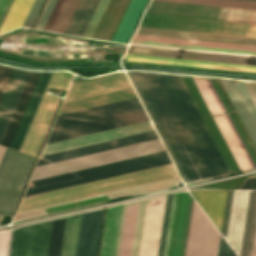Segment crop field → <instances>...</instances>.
Returning a JSON list of instances; mask_svg holds the SVG:
<instances>
[{
	"label": "crop field",
	"mask_w": 256,
	"mask_h": 256,
	"mask_svg": "<svg viewBox=\"0 0 256 256\" xmlns=\"http://www.w3.org/2000/svg\"><path fill=\"white\" fill-rule=\"evenodd\" d=\"M167 1L256 9V2L236 1V0H167Z\"/></svg>",
	"instance_id": "30"
},
{
	"label": "crop field",
	"mask_w": 256,
	"mask_h": 256,
	"mask_svg": "<svg viewBox=\"0 0 256 256\" xmlns=\"http://www.w3.org/2000/svg\"><path fill=\"white\" fill-rule=\"evenodd\" d=\"M79 0H48L35 28L63 33Z\"/></svg>",
	"instance_id": "18"
},
{
	"label": "crop field",
	"mask_w": 256,
	"mask_h": 256,
	"mask_svg": "<svg viewBox=\"0 0 256 256\" xmlns=\"http://www.w3.org/2000/svg\"><path fill=\"white\" fill-rule=\"evenodd\" d=\"M35 159L6 149L0 163V212L12 214Z\"/></svg>",
	"instance_id": "8"
},
{
	"label": "crop field",
	"mask_w": 256,
	"mask_h": 256,
	"mask_svg": "<svg viewBox=\"0 0 256 256\" xmlns=\"http://www.w3.org/2000/svg\"><path fill=\"white\" fill-rule=\"evenodd\" d=\"M146 202H147V199L129 203V204L139 203V207H138V204H136V205L127 206V209H126V205H129V204H124L121 225H120V231H119L118 244H117V250H116V256H118V253H119L125 209H126V215H125L124 228H123L119 256H130L137 207H138V213H137V219H136V225H135V231H134V237H133L131 256H138L142 227H143V220H144V214H145V208H146Z\"/></svg>",
	"instance_id": "15"
},
{
	"label": "crop field",
	"mask_w": 256,
	"mask_h": 256,
	"mask_svg": "<svg viewBox=\"0 0 256 256\" xmlns=\"http://www.w3.org/2000/svg\"><path fill=\"white\" fill-rule=\"evenodd\" d=\"M256 217V191L228 190L221 233L239 256H249Z\"/></svg>",
	"instance_id": "6"
},
{
	"label": "crop field",
	"mask_w": 256,
	"mask_h": 256,
	"mask_svg": "<svg viewBox=\"0 0 256 256\" xmlns=\"http://www.w3.org/2000/svg\"><path fill=\"white\" fill-rule=\"evenodd\" d=\"M127 53L256 65V56L201 52V51L136 46V45H130ZM136 54H125V58L127 61H132V62H153V63H164V64H175V65L198 66V67H209V68L256 72V66L167 58V57H156V56H146V55H136Z\"/></svg>",
	"instance_id": "3"
},
{
	"label": "crop field",
	"mask_w": 256,
	"mask_h": 256,
	"mask_svg": "<svg viewBox=\"0 0 256 256\" xmlns=\"http://www.w3.org/2000/svg\"><path fill=\"white\" fill-rule=\"evenodd\" d=\"M182 196L183 193H175L173 197L164 256H173ZM191 202L192 198L190 197V195L184 192L174 256H183L184 254Z\"/></svg>",
	"instance_id": "13"
},
{
	"label": "crop field",
	"mask_w": 256,
	"mask_h": 256,
	"mask_svg": "<svg viewBox=\"0 0 256 256\" xmlns=\"http://www.w3.org/2000/svg\"><path fill=\"white\" fill-rule=\"evenodd\" d=\"M65 220L66 217L53 220L48 256H60Z\"/></svg>",
	"instance_id": "28"
},
{
	"label": "crop field",
	"mask_w": 256,
	"mask_h": 256,
	"mask_svg": "<svg viewBox=\"0 0 256 256\" xmlns=\"http://www.w3.org/2000/svg\"><path fill=\"white\" fill-rule=\"evenodd\" d=\"M40 73L41 72H36V71L30 72L28 79L26 81V84L21 93V96L16 105V108L8 124V127L5 131L3 139L0 143L1 145H5L8 147L10 146Z\"/></svg>",
	"instance_id": "23"
},
{
	"label": "crop field",
	"mask_w": 256,
	"mask_h": 256,
	"mask_svg": "<svg viewBox=\"0 0 256 256\" xmlns=\"http://www.w3.org/2000/svg\"><path fill=\"white\" fill-rule=\"evenodd\" d=\"M3 216H4L3 214H0V223H1Z\"/></svg>",
	"instance_id": "41"
},
{
	"label": "crop field",
	"mask_w": 256,
	"mask_h": 256,
	"mask_svg": "<svg viewBox=\"0 0 256 256\" xmlns=\"http://www.w3.org/2000/svg\"><path fill=\"white\" fill-rule=\"evenodd\" d=\"M252 84H253V86H254V88L256 90V82H252Z\"/></svg>",
	"instance_id": "40"
},
{
	"label": "crop field",
	"mask_w": 256,
	"mask_h": 256,
	"mask_svg": "<svg viewBox=\"0 0 256 256\" xmlns=\"http://www.w3.org/2000/svg\"><path fill=\"white\" fill-rule=\"evenodd\" d=\"M136 73H137V75H138V77H139V79H140L142 85L144 86V88H145V90H146V92H147V94H148V96H149L151 102L153 103V105H154V107H155V109H156V111H157L159 117L161 118V120H162V122H163V124H164V126H165V128H166V130H167V132H168V134L170 135V137H171V139H172V141H173V143H174L176 149L178 150V152H179V154H180V156H181V158H182V160H183L185 166L187 167V169H188V171H189V173H190V175H191L193 181H197L196 178H195V176H194V174H193V172H192V170H191V168H190V166H189V164H188V162H187V160L185 159V157H184V155H183V153H182V151H181V149H180V147H179V145H178V143H177L175 137L173 136V134H172V132H171V130H170V128H169V126H168V124H167L165 118H164V116L162 115V113H161V111H160V109H159V107H158V105H157V103H156V101H155V99H154L152 93L150 92V90H149V88H148V86H147V84H146V82H145V80H144V78H143L141 72H137V71H136Z\"/></svg>",
	"instance_id": "29"
},
{
	"label": "crop field",
	"mask_w": 256,
	"mask_h": 256,
	"mask_svg": "<svg viewBox=\"0 0 256 256\" xmlns=\"http://www.w3.org/2000/svg\"><path fill=\"white\" fill-rule=\"evenodd\" d=\"M247 1H256V0H247Z\"/></svg>",
	"instance_id": "42"
},
{
	"label": "crop field",
	"mask_w": 256,
	"mask_h": 256,
	"mask_svg": "<svg viewBox=\"0 0 256 256\" xmlns=\"http://www.w3.org/2000/svg\"><path fill=\"white\" fill-rule=\"evenodd\" d=\"M103 201H104L103 197H100V198L82 201V202H78V203L68 204V205L59 206V207H55V208H50V209H46L44 211L46 214H48V213H52V212L62 211V210H66V209L80 207V206H84V205H88V204L99 203V202H103Z\"/></svg>",
	"instance_id": "34"
},
{
	"label": "crop field",
	"mask_w": 256,
	"mask_h": 256,
	"mask_svg": "<svg viewBox=\"0 0 256 256\" xmlns=\"http://www.w3.org/2000/svg\"><path fill=\"white\" fill-rule=\"evenodd\" d=\"M165 150L160 139L55 162L35 168L32 180Z\"/></svg>",
	"instance_id": "7"
},
{
	"label": "crop field",
	"mask_w": 256,
	"mask_h": 256,
	"mask_svg": "<svg viewBox=\"0 0 256 256\" xmlns=\"http://www.w3.org/2000/svg\"><path fill=\"white\" fill-rule=\"evenodd\" d=\"M13 231L0 232V256H9Z\"/></svg>",
	"instance_id": "33"
},
{
	"label": "crop field",
	"mask_w": 256,
	"mask_h": 256,
	"mask_svg": "<svg viewBox=\"0 0 256 256\" xmlns=\"http://www.w3.org/2000/svg\"><path fill=\"white\" fill-rule=\"evenodd\" d=\"M182 115L194 135L214 176L229 173L230 170L210 134L201 114L189 94L181 76L162 74Z\"/></svg>",
	"instance_id": "5"
},
{
	"label": "crop field",
	"mask_w": 256,
	"mask_h": 256,
	"mask_svg": "<svg viewBox=\"0 0 256 256\" xmlns=\"http://www.w3.org/2000/svg\"><path fill=\"white\" fill-rule=\"evenodd\" d=\"M250 256H256V223H255V229H254V235H253V241H252Z\"/></svg>",
	"instance_id": "38"
},
{
	"label": "crop field",
	"mask_w": 256,
	"mask_h": 256,
	"mask_svg": "<svg viewBox=\"0 0 256 256\" xmlns=\"http://www.w3.org/2000/svg\"><path fill=\"white\" fill-rule=\"evenodd\" d=\"M147 0H131L111 41L126 43Z\"/></svg>",
	"instance_id": "26"
},
{
	"label": "crop field",
	"mask_w": 256,
	"mask_h": 256,
	"mask_svg": "<svg viewBox=\"0 0 256 256\" xmlns=\"http://www.w3.org/2000/svg\"><path fill=\"white\" fill-rule=\"evenodd\" d=\"M227 190H195L194 197L216 225L221 229Z\"/></svg>",
	"instance_id": "22"
},
{
	"label": "crop field",
	"mask_w": 256,
	"mask_h": 256,
	"mask_svg": "<svg viewBox=\"0 0 256 256\" xmlns=\"http://www.w3.org/2000/svg\"><path fill=\"white\" fill-rule=\"evenodd\" d=\"M218 256H236L232 249L228 246L225 240L220 238Z\"/></svg>",
	"instance_id": "35"
},
{
	"label": "crop field",
	"mask_w": 256,
	"mask_h": 256,
	"mask_svg": "<svg viewBox=\"0 0 256 256\" xmlns=\"http://www.w3.org/2000/svg\"><path fill=\"white\" fill-rule=\"evenodd\" d=\"M252 101L254 102L255 106H256V92L251 84V82H246V81H243Z\"/></svg>",
	"instance_id": "37"
},
{
	"label": "crop field",
	"mask_w": 256,
	"mask_h": 256,
	"mask_svg": "<svg viewBox=\"0 0 256 256\" xmlns=\"http://www.w3.org/2000/svg\"><path fill=\"white\" fill-rule=\"evenodd\" d=\"M5 149H6L5 147L0 146V160L3 156V153H4Z\"/></svg>",
	"instance_id": "39"
},
{
	"label": "crop field",
	"mask_w": 256,
	"mask_h": 256,
	"mask_svg": "<svg viewBox=\"0 0 256 256\" xmlns=\"http://www.w3.org/2000/svg\"><path fill=\"white\" fill-rule=\"evenodd\" d=\"M170 163L171 161L166 151H163L98 167L40 179L36 180V187L29 188L31 182L29 183V190L27 189L24 197Z\"/></svg>",
	"instance_id": "2"
},
{
	"label": "crop field",
	"mask_w": 256,
	"mask_h": 256,
	"mask_svg": "<svg viewBox=\"0 0 256 256\" xmlns=\"http://www.w3.org/2000/svg\"><path fill=\"white\" fill-rule=\"evenodd\" d=\"M172 196L173 194L167 195V198L166 195H164L148 199L139 256H157L164 204L166 198L164 218L158 251V256H163Z\"/></svg>",
	"instance_id": "10"
},
{
	"label": "crop field",
	"mask_w": 256,
	"mask_h": 256,
	"mask_svg": "<svg viewBox=\"0 0 256 256\" xmlns=\"http://www.w3.org/2000/svg\"><path fill=\"white\" fill-rule=\"evenodd\" d=\"M221 80L256 146V108L242 81L223 78Z\"/></svg>",
	"instance_id": "17"
},
{
	"label": "crop field",
	"mask_w": 256,
	"mask_h": 256,
	"mask_svg": "<svg viewBox=\"0 0 256 256\" xmlns=\"http://www.w3.org/2000/svg\"><path fill=\"white\" fill-rule=\"evenodd\" d=\"M102 212L83 214L76 256H96Z\"/></svg>",
	"instance_id": "19"
},
{
	"label": "crop field",
	"mask_w": 256,
	"mask_h": 256,
	"mask_svg": "<svg viewBox=\"0 0 256 256\" xmlns=\"http://www.w3.org/2000/svg\"><path fill=\"white\" fill-rule=\"evenodd\" d=\"M136 34L256 45V39L138 28ZM134 35L131 43L256 55V46Z\"/></svg>",
	"instance_id": "4"
},
{
	"label": "crop field",
	"mask_w": 256,
	"mask_h": 256,
	"mask_svg": "<svg viewBox=\"0 0 256 256\" xmlns=\"http://www.w3.org/2000/svg\"><path fill=\"white\" fill-rule=\"evenodd\" d=\"M52 220L15 229L10 256H47Z\"/></svg>",
	"instance_id": "12"
},
{
	"label": "crop field",
	"mask_w": 256,
	"mask_h": 256,
	"mask_svg": "<svg viewBox=\"0 0 256 256\" xmlns=\"http://www.w3.org/2000/svg\"><path fill=\"white\" fill-rule=\"evenodd\" d=\"M122 206L107 208L100 256H115Z\"/></svg>",
	"instance_id": "25"
},
{
	"label": "crop field",
	"mask_w": 256,
	"mask_h": 256,
	"mask_svg": "<svg viewBox=\"0 0 256 256\" xmlns=\"http://www.w3.org/2000/svg\"><path fill=\"white\" fill-rule=\"evenodd\" d=\"M45 0H35L23 25L31 28Z\"/></svg>",
	"instance_id": "32"
},
{
	"label": "crop field",
	"mask_w": 256,
	"mask_h": 256,
	"mask_svg": "<svg viewBox=\"0 0 256 256\" xmlns=\"http://www.w3.org/2000/svg\"><path fill=\"white\" fill-rule=\"evenodd\" d=\"M12 67L0 66V97L8 81ZM30 71L14 68L0 100V141L12 115Z\"/></svg>",
	"instance_id": "14"
},
{
	"label": "crop field",
	"mask_w": 256,
	"mask_h": 256,
	"mask_svg": "<svg viewBox=\"0 0 256 256\" xmlns=\"http://www.w3.org/2000/svg\"><path fill=\"white\" fill-rule=\"evenodd\" d=\"M129 74H130V76H131V78H132V80H133V82H134V84H135L139 94L141 95V97H142V99H143V101H144V103H145V105H146L150 115L152 116V118H153V120H154V122H155V124H156V126H157V128H158V130H159V132H160V134L162 136V138L164 139V141H165V143H166V145H167V147H168V149H169L173 159L175 160V162H176V164H177V166H178V168H179V170H180V172H181L185 182H193L191 177H190V175H189V173H188V171H187V169H186V167L184 166V164H183V162H182V160H181L177 150L175 149V147H174V145H173L169 135L167 134V132H166V130H165V128H164L160 118L158 117V115H157V113H156L152 103L150 102V100H149V98H148V96H147L143 86L141 85V83H140V81H139L135 71H130Z\"/></svg>",
	"instance_id": "21"
},
{
	"label": "crop field",
	"mask_w": 256,
	"mask_h": 256,
	"mask_svg": "<svg viewBox=\"0 0 256 256\" xmlns=\"http://www.w3.org/2000/svg\"><path fill=\"white\" fill-rule=\"evenodd\" d=\"M14 0H0V27L12 5ZM34 0H15L1 29H0V34L4 33V32H7V31H10L12 29H15V28H18L22 25L32 3H33Z\"/></svg>",
	"instance_id": "24"
},
{
	"label": "crop field",
	"mask_w": 256,
	"mask_h": 256,
	"mask_svg": "<svg viewBox=\"0 0 256 256\" xmlns=\"http://www.w3.org/2000/svg\"><path fill=\"white\" fill-rule=\"evenodd\" d=\"M239 189H256V176L247 178Z\"/></svg>",
	"instance_id": "36"
},
{
	"label": "crop field",
	"mask_w": 256,
	"mask_h": 256,
	"mask_svg": "<svg viewBox=\"0 0 256 256\" xmlns=\"http://www.w3.org/2000/svg\"><path fill=\"white\" fill-rule=\"evenodd\" d=\"M157 75H158V77H159V79H160V81H161V83H162V85H163V87H164L166 93L168 94V96H169V98H170V100H171V102H172V104H173V106H174V108H175L177 114L179 115V117H180V119H181V121H182V123H183V125H184V127H185V129H186V131H187V133H188V135L190 136V138H191V140H192V142H193V144H194V146H195V148H196V150H197L199 156L201 157V159H202V161H203V163H204V165H205V167H206V169H207V171H208L210 177H213V174H212V172H211V170H210V168H209V166H208V164H207V162H206L204 156L202 155V153H201V151H200V149H199V147H198V145H197V143H196V141H195L193 135L191 134V132H190V130H189V128H188V126H187V124H186V122H185L183 116L181 115V113H180V111H179V109H178V107H177V105H176V103H175V101H174L172 95L170 94V92H169V90H168V88H167V86H166V84H165V82H164V80H163L161 74H158V73H157Z\"/></svg>",
	"instance_id": "31"
},
{
	"label": "crop field",
	"mask_w": 256,
	"mask_h": 256,
	"mask_svg": "<svg viewBox=\"0 0 256 256\" xmlns=\"http://www.w3.org/2000/svg\"><path fill=\"white\" fill-rule=\"evenodd\" d=\"M220 234L192 202L184 256H217Z\"/></svg>",
	"instance_id": "11"
},
{
	"label": "crop field",
	"mask_w": 256,
	"mask_h": 256,
	"mask_svg": "<svg viewBox=\"0 0 256 256\" xmlns=\"http://www.w3.org/2000/svg\"><path fill=\"white\" fill-rule=\"evenodd\" d=\"M141 108L142 106L138 98H135V99L117 102L109 105H104V106L77 111L69 114H64L57 117L52 130L86 122V121L103 118V117H108V116H112V115H116L124 112H129V111H133ZM147 120H149L147 114L145 113L144 109H141V110H137L129 113H124V114H120V115H116L108 118H103V119H99L91 122H86V123H82V124H78L70 127L53 130L50 132L46 143L61 140V139H66L70 137H75L79 135H84L88 133H93L97 131L116 128L120 126H125L129 124H134L138 122H143ZM152 129L153 127L150 121H147L143 123H138L134 125L102 131L98 133H93V134H88L84 136L57 141V142H52L45 145L41 155L60 151V150H65L73 147H78L82 145H87L95 142H100L108 139L122 137L130 134L144 132ZM157 138L158 136L155 130H152L144 133L130 135V136L117 138L113 140H108V141L95 143L87 146H82V147L73 148L65 151L51 153V154L41 156L37 166L55 162V161L64 160V159H69L73 157H78L86 154L109 150L117 147L140 143L148 140H153Z\"/></svg>",
	"instance_id": "1"
},
{
	"label": "crop field",
	"mask_w": 256,
	"mask_h": 256,
	"mask_svg": "<svg viewBox=\"0 0 256 256\" xmlns=\"http://www.w3.org/2000/svg\"><path fill=\"white\" fill-rule=\"evenodd\" d=\"M151 92L153 93L163 115L165 116L174 136L176 137L186 159L188 160L197 180L208 178L209 175L161 87L155 73L142 72Z\"/></svg>",
	"instance_id": "9"
},
{
	"label": "crop field",
	"mask_w": 256,
	"mask_h": 256,
	"mask_svg": "<svg viewBox=\"0 0 256 256\" xmlns=\"http://www.w3.org/2000/svg\"><path fill=\"white\" fill-rule=\"evenodd\" d=\"M81 217L82 214L67 217L61 256H75Z\"/></svg>",
	"instance_id": "27"
},
{
	"label": "crop field",
	"mask_w": 256,
	"mask_h": 256,
	"mask_svg": "<svg viewBox=\"0 0 256 256\" xmlns=\"http://www.w3.org/2000/svg\"><path fill=\"white\" fill-rule=\"evenodd\" d=\"M53 72H42L40 78H39V81L36 85V88L33 92V95L30 99V102L27 106V109L25 111V114L22 118V121L19 125V128L16 132V135L13 139V142L11 144V148H15V149H20L21 145H22V142L25 138V135L28 131V128L31 124V121L34 117V114L38 108V105L41 101V98L44 94V91L47 87V84L50 80V77L52 75Z\"/></svg>",
	"instance_id": "20"
},
{
	"label": "crop field",
	"mask_w": 256,
	"mask_h": 256,
	"mask_svg": "<svg viewBox=\"0 0 256 256\" xmlns=\"http://www.w3.org/2000/svg\"><path fill=\"white\" fill-rule=\"evenodd\" d=\"M99 0H80L64 33L82 36ZM109 0H100L98 7L83 36L91 38Z\"/></svg>",
	"instance_id": "16"
}]
</instances>
